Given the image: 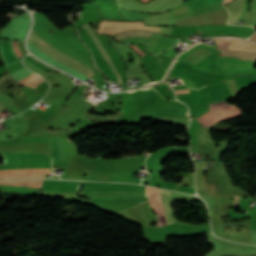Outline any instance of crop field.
<instances>
[{
    "instance_id": "1",
    "label": "crop field",
    "mask_w": 256,
    "mask_h": 256,
    "mask_svg": "<svg viewBox=\"0 0 256 256\" xmlns=\"http://www.w3.org/2000/svg\"><path fill=\"white\" fill-rule=\"evenodd\" d=\"M29 38H31V39L37 41L38 43L44 45L45 47H47V48H49V49H51V50H53L54 52L60 54L61 56H63V57H65V58L69 59L70 61L76 63L77 65H79V66L85 68L86 70H88V71H90V72H92V73L94 72L86 63H84V62H82L81 60H79V59H77V58L71 56L70 54H68V53H66V52H64V51H62L61 49H59V48H57V47L51 45L50 43H48V42L42 40L41 38H39V37H37V36H35V35H33V34H30V37H29ZM31 39H29V42H28V43H30V44L36 46L37 48H39V49L45 51L46 53H48V54L54 56L55 58L61 60L62 62H64V63L70 65L71 67H73V68L79 70L80 72H82V73H84V74H86V75H88V76H89L90 74H92V73H90V72L84 70L83 68L77 66L76 64H74V63L68 61L67 59L61 57L60 55H58V54L52 52L51 50L45 48L44 46H42V45L36 43L35 41H33V40H31ZM30 44H28V45H29V50H31V51H32L35 55H37L38 57H40V58H42V59H44V60H46V61H48V62H50V63H52V64H54V65H56V66H58V67L61 68L62 70L66 71V72H68V73H70V74H72V75H75V76L81 78L82 80H84L85 78L88 77V76H86V75L80 73L79 71H77V70L71 68L70 66H68V65H66V64H64V63H62L61 61L55 59L54 57H52V56L46 54L45 52H43V51L37 49L36 47H34V46L30 45ZM94 73H95V72H94ZM89 77H90V76H89ZM89 77H88V78H89ZM88 78H87V79H88ZM85 80H86V79H85ZM85 80H84V81H85Z\"/></svg>"
},
{
    "instance_id": "2",
    "label": "crop field",
    "mask_w": 256,
    "mask_h": 256,
    "mask_svg": "<svg viewBox=\"0 0 256 256\" xmlns=\"http://www.w3.org/2000/svg\"><path fill=\"white\" fill-rule=\"evenodd\" d=\"M52 158L68 161L64 139H52ZM45 172H50V169H45ZM31 178H46V174H19L0 176V180Z\"/></svg>"
},
{
    "instance_id": "3",
    "label": "crop field",
    "mask_w": 256,
    "mask_h": 256,
    "mask_svg": "<svg viewBox=\"0 0 256 256\" xmlns=\"http://www.w3.org/2000/svg\"><path fill=\"white\" fill-rule=\"evenodd\" d=\"M127 23H140V22H127ZM159 28L160 27L144 26L143 23H141V24H120V23H111V22L100 21L98 34H108V35L115 36L116 33L128 31V30H135V29L149 30V31L158 33Z\"/></svg>"
},
{
    "instance_id": "4",
    "label": "crop field",
    "mask_w": 256,
    "mask_h": 256,
    "mask_svg": "<svg viewBox=\"0 0 256 256\" xmlns=\"http://www.w3.org/2000/svg\"><path fill=\"white\" fill-rule=\"evenodd\" d=\"M29 25L30 17L28 15L13 19L3 33L2 38L11 40H24Z\"/></svg>"
},
{
    "instance_id": "5",
    "label": "crop field",
    "mask_w": 256,
    "mask_h": 256,
    "mask_svg": "<svg viewBox=\"0 0 256 256\" xmlns=\"http://www.w3.org/2000/svg\"><path fill=\"white\" fill-rule=\"evenodd\" d=\"M81 196L102 198L146 197L145 192L81 190Z\"/></svg>"
},
{
    "instance_id": "6",
    "label": "crop field",
    "mask_w": 256,
    "mask_h": 256,
    "mask_svg": "<svg viewBox=\"0 0 256 256\" xmlns=\"http://www.w3.org/2000/svg\"><path fill=\"white\" fill-rule=\"evenodd\" d=\"M219 103L221 105V108L226 120L242 115L241 110L237 109L236 106L228 105L227 102H219ZM196 119H198L201 126H211L215 123L210 111Z\"/></svg>"
},
{
    "instance_id": "7",
    "label": "crop field",
    "mask_w": 256,
    "mask_h": 256,
    "mask_svg": "<svg viewBox=\"0 0 256 256\" xmlns=\"http://www.w3.org/2000/svg\"><path fill=\"white\" fill-rule=\"evenodd\" d=\"M225 6L228 8L230 13V19L228 23L236 24L237 20L242 18L245 13L247 0H233Z\"/></svg>"
},
{
    "instance_id": "8",
    "label": "crop field",
    "mask_w": 256,
    "mask_h": 256,
    "mask_svg": "<svg viewBox=\"0 0 256 256\" xmlns=\"http://www.w3.org/2000/svg\"><path fill=\"white\" fill-rule=\"evenodd\" d=\"M223 0H189L195 14L222 6Z\"/></svg>"
},
{
    "instance_id": "9",
    "label": "crop field",
    "mask_w": 256,
    "mask_h": 256,
    "mask_svg": "<svg viewBox=\"0 0 256 256\" xmlns=\"http://www.w3.org/2000/svg\"><path fill=\"white\" fill-rule=\"evenodd\" d=\"M89 35L91 36V38L93 39L94 43L96 44L97 48L99 49V51L101 52L102 56L104 57L105 61L107 62V64L109 65L110 69L113 71V73L116 75V77L118 78V83H120V79H119V73L116 69V67L114 66L112 60L110 59L108 53L106 52V50L104 49V47L102 46L100 40L98 39V37L96 36V34L92 31V29L88 26L85 28Z\"/></svg>"
},
{
    "instance_id": "10",
    "label": "crop field",
    "mask_w": 256,
    "mask_h": 256,
    "mask_svg": "<svg viewBox=\"0 0 256 256\" xmlns=\"http://www.w3.org/2000/svg\"><path fill=\"white\" fill-rule=\"evenodd\" d=\"M224 81H225V83H226V85L228 87V90H229L231 96L233 97L236 94V92L238 91L234 80L233 79H226ZM174 90H175L176 94L185 93V92H191L188 87L177 88V89H174ZM192 92H194V91H192ZM189 94H190L191 99H192L193 102H195V101H202L198 92L189 93Z\"/></svg>"
},
{
    "instance_id": "11",
    "label": "crop field",
    "mask_w": 256,
    "mask_h": 256,
    "mask_svg": "<svg viewBox=\"0 0 256 256\" xmlns=\"http://www.w3.org/2000/svg\"><path fill=\"white\" fill-rule=\"evenodd\" d=\"M159 192L163 203L166 222L169 223L175 221L174 211L171 209V191L159 189Z\"/></svg>"
},
{
    "instance_id": "12",
    "label": "crop field",
    "mask_w": 256,
    "mask_h": 256,
    "mask_svg": "<svg viewBox=\"0 0 256 256\" xmlns=\"http://www.w3.org/2000/svg\"><path fill=\"white\" fill-rule=\"evenodd\" d=\"M42 180H31V181H11V182H0L4 185H18L40 188Z\"/></svg>"
},
{
    "instance_id": "13",
    "label": "crop field",
    "mask_w": 256,
    "mask_h": 256,
    "mask_svg": "<svg viewBox=\"0 0 256 256\" xmlns=\"http://www.w3.org/2000/svg\"><path fill=\"white\" fill-rule=\"evenodd\" d=\"M223 54L222 56H227V57H244V58H252L256 59V54L255 53H247V52H232V51H222ZM244 60H251V59H244ZM256 61V60H253Z\"/></svg>"
},
{
    "instance_id": "14",
    "label": "crop field",
    "mask_w": 256,
    "mask_h": 256,
    "mask_svg": "<svg viewBox=\"0 0 256 256\" xmlns=\"http://www.w3.org/2000/svg\"><path fill=\"white\" fill-rule=\"evenodd\" d=\"M152 32L148 31H129L124 33H119L116 35V39L125 38V37H133V36H145L150 37Z\"/></svg>"
},
{
    "instance_id": "15",
    "label": "crop field",
    "mask_w": 256,
    "mask_h": 256,
    "mask_svg": "<svg viewBox=\"0 0 256 256\" xmlns=\"http://www.w3.org/2000/svg\"><path fill=\"white\" fill-rule=\"evenodd\" d=\"M129 47H131L134 51L139 53L140 56L144 55L137 48H135L133 45H130ZM149 74L154 79L155 82L159 81L160 79H162L165 76L159 68L149 72Z\"/></svg>"
},
{
    "instance_id": "16",
    "label": "crop field",
    "mask_w": 256,
    "mask_h": 256,
    "mask_svg": "<svg viewBox=\"0 0 256 256\" xmlns=\"http://www.w3.org/2000/svg\"><path fill=\"white\" fill-rule=\"evenodd\" d=\"M240 196H235V203L233 207H239Z\"/></svg>"
},
{
    "instance_id": "17",
    "label": "crop field",
    "mask_w": 256,
    "mask_h": 256,
    "mask_svg": "<svg viewBox=\"0 0 256 256\" xmlns=\"http://www.w3.org/2000/svg\"><path fill=\"white\" fill-rule=\"evenodd\" d=\"M6 48H7V51H8L9 57H10V58H12L13 56H12L11 49H10V48H8V47H6Z\"/></svg>"
},
{
    "instance_id": "18",
    "label": "crop field",
    "mask_w": 256,
    "mask_h": 256,
    "mask_svg": "<svg viewBox=\"0 0 256 256\" xmlns=\"http://www.w3.org/2000/svg\"><path fill=\"white\" fill-rule=\"evenodd\" d=\"M186 72H187V69H184V68H182L180 71V73H184V74H186Z\"/></svg>"
},
{
    "instance_id": "19",
    "label": "crop field",
    "mask_w": 256,
    "mask_h": 256,
    "mask_svg": "<svg viewBox=\"0 0 256 256\" xmlns=\"http://www.w3.org/2000/svg\"><path fill=\"white\" fill-rule=\"evenodd\" d=\"M182 56H183V55L179 56L177 60H181V59H182Z\"/></svg>"
},
{
    "instance_id": "20",
    "label": "crop field",
    "mask_w": 256,
    "mask_h": 256,
    "mask_svg": "<svg viewBox=\"0 0 256 256\" xmlns=\"http://www.w3.org/2000/svg\"><path fill=\"white\" fill-rule=\"evenodd\" d=\"M3 108V106L0 104V109ZM5 109V108H4ZM3 110V109H2ZM1 111V110H0Z\"/></svg>"
},
{
    "instance_id": "21",
    "label": "crop field",
    "mask_w": 256,
    "mask_h": 256,
    "mask_svg": "<svg viewBox=\"0 0 256 256\" xmlns=\"http://www.w3.org/2000/svg\"><path fill=\"white\" fill-rule=\"evenodd\" d=\"M143 2H147V1H149V0H142Z\"/></svg>"
},
{
    "instance_id": "22",
    "label": "crop field",
    "mask_w": 256,
    "mask_h": 256,
    "mask_svg": "<svg viewBox=\"0 0 256 256\" xmlns=\"http://www.w3.org/2000/svg\"><path fill=\"white\" fill-rule=\"evenodd\" d=\"M167 88H171V86H168Z\"/></svg>"
},
{
    "instance_id": "23",
    "label": "crop field",
    "mask_w": 256,
    "mask_h": 256,
    "mask_svg": "<svg viewBox=\"0 0 256 256\" xmlns=\"http://www.w3.org/2000/svg\"><path fill=\"white\" fill-rule=\"evenodd\" d=\"M188 43H190V41H188Z\"/></svg>"
},
{
    "instance_id": "24",
    "label": "crop field",
    "mask_w": 256,
    "mask_h": 256,
    "mask_svg": "<svg viewBox=\"0 0 256 256\" xmlns=\"http://www.w3.org/2000/svg\"><path fill=\"white\" fill-rule=\"evenodd\" d=\"M130 77H132V76H130Z\"/></svg>"
}]
</instances>
